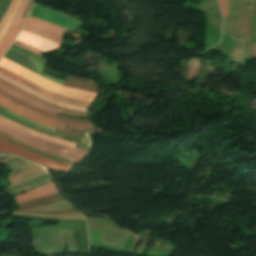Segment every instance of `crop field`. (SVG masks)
I'll use <instances>...</instances> for the list:
<instances>
[{
  "label": "crop field",
  "instance_id": "crop-field-1",
  "mask_svg": "<svg viewBox=\"0 0 256 256\" xmlns=\"http://www.w3.org/2000/svg\"><path fill=\"white\" fill-rule=\"evenodd\" d=\"M0 67L55 94L89 103H91L96 96V93L75 90L62 85L54 84L4 58H2L0 61Z\"/></svg>",
  "mask_w": 256,
  "mask_h": 256
},
{
  "label": "crop field",
  "instance_id": "crop-field-2",
  "mask_svg": "<svg viewBox=\"0 0 256 256\" xmlns=\"http://www.w3.org/2000/svg\"><path fill=\"white\" fill-rule=\"evenodd\" d=\"M0 130L5 131L14 136H17L19 138L25 139L27 141H30L32 143L38 144L40 146L52 149L54 151H57V152H60V153H63V154L69 155V156L76 157L79 159L83 158L84 155L86 154V152H84V151L76 150L73 148L65 147L62 145H58V144H55L52 142H48V141L39 139V138L34 137L28 133H25L19 129H16L10 125H7L1 121H0Z\"/></svg>",
  "mask_w": 256,
  "mask_h": 256
},
{
  "label": "crop field",
  "instance_id": "crop-field-3",
  "mask_svg": "<svg viewBox=\"0 0 256 256\" xmlns=\"http://www.w3.org/2000/svg\"><path fill=\"white\" fill-rule=\"evenodd\" d=\"M0 105L21 115V116L32 119V120L37 121L46 126H50V127H54V128L63 130L64 126L66 124L65 122H61V121L55 120L53 118L43 116L36 112H33V111H31L23 106H20L2 96H0Z\"/></svg>",
  "mask_w": 256,
  "mask_h": 256
},
{
  "label": "crop field",
  "instance_id": "crop-field-4",
  "mask_svg": "<svg viewBox=\"0 0 256 256\" xmlns=\"http://www.w3.org/2000/svg\"><path fill=\"white\" fill-rule=\"evenodd\" d=\"M0 152L14 153L22 158H25L29 161L34 162L36 164H40V165H44V166H48V167H52V168H56V169H60V170H64V171L68 170L71 167V166L65 165L63 163L52 161V160L40 157L38 155H35L31 152H28L24 149H21L17 146L10 144V143H7L1 139H0Z\"/></svg>",
  "mask_w": 256,
  "mask_h": 256
},
{
  "label": "crop field",
  "instance_id": "crop-field-5",
  "mask_svg": "<svg viewBox=\"0 0 256 256\" xmlns=\"http://www.w3.org/2000/svg\"><path fill=\"white\" fill-rule=\"evenodd\" d=\"M31 16L49 21L72 31L81 24L79 21L40 6H34Z\"/></svg>",
  "mask_w": 256,
  "mask_h": 256
},
{
  "label": "crop field",
  "instance_id": "crop-field-6",
  "mask_svg": "<svg viewBox=\"0 0 256 256\" xmlns=\"http://www.w3.org/2000/svg\"><path fill=\"white\" fill-rule=\"evenodd\" d=\"M27 0H24L22 3V6L17 14L18 17L21 16ZM15 17L14 21L11 24V27H9L8 31L6 32L5 36L3 37L2 41L0 42V58L4 54V52L7 50L9 45L13 42V40L17 37L19 34L22 26L24 25L26 19Z\"/></svg>",
  "mask_w": 256,
  "mask_h": 256
},
{
  "label": "crop field",
  "instance_id": "crop-field-7",
  "mask_svg": "<svg viewBox=\"0 0 256 256\" xmlns=\"http://www.w3.org/2000/svg\"><path fill=\"white\" fill-rule=\"evenodd\" d=\"M17 40H19V41H21L25 44H28V45L37 47L39 49H42L44 51L57 49L60 46L56 43L50 42L48 40L42 39L40 37L31 35V34H28V33L23 32V31L18 36Z\"/></svg>",
  "mask_w": 256,
  "mask_h": 256
},
{
  "label": "crop field",
  "instance_id": "crop-field-8",
  "mask_svg": "<svg viewBox=\"0 0 256 256\" xmlns=\"http://www.w3.org/2000/svg\"><path fill=\"white\" fill-rule=\"evenodd\" d=\"M26 25L39 29L45 33L57 36L61 39L63 38L64 32L66 31V29L64 28H61L59 26H56L43 20L33 18L31 16L29 17Z\"/></svg>",
  "mask_w": 256,
  "mask_h": 256
},
{
  "label": "crop field",
  "instance_id": "crop-field-9",
  "mask_svg": "<svg viewBox=\"0 0 256 256\" xmlns=\"http://www.w3.org/2000/svg\"><path fill=\"white\" fill-rule=\"evenodd\" d=\"M56 192H58V189L56 188L54 183H52V184H49L44 187L33 189V190H31L27 193H24L22 195L15 196L14 198H15L16 203L18 204V203L26 202V201L33 200L36 198H40V197H43L46 195H50V194H53Z\"/></svg>",
  "mask_w": 256,
  "mask_h": 256
},
{
  "label": "crop field",
  "instance_id": "crop-field-10",
  "mask_svg": "<svg viewBox=\"0 0 256 256\" xmlns=\"http://www.w3.org/2000/svg\"><path fill=\"white\" fill-rule=\"evenodd\" d=\"M0 73H2L4 75H6V76H8V77L18 81V82H20V83H22V84H24V85H26V86L34 89V90H36V91L46 95V96H48L50 98L58 99V100H61V101H64V102H68V103H71V104H75V105H80V106H85V107L89 106V103H85V102L73 100V99H70V98H66V97H62V96L51 94V93H49V92H47V91H45V90H43V89H41V88H39L37 86H34V85H32V84H30V83H28V82H26V81L16 77V76H14L13 74H11V73H9V72L1 69V68H0Z\"/></svg>",
  "mask_w": 256,
  "mask_h": 256
},
{
  "label": "crop field",
  "instance_id": "crop-field-11",
  "mask_svg": "<svg viewBox=\"0 0 256 256\" xmlns=\"http://www.w3.org/2000/svg\"><path fill=\"white\" fill-rule=\"evenodd\" d=\"M0 78L9 82V83H11V84H13V85H15V86H17V87H19V88H21V89H23V90H25V91H27V92H29V93H31V94H33V95H35V96H37V97H39V98H41V99H43V100L49 101V102L54 103L56 105H60V106L68 107V108H73V109H78V110H84V111L87 110V108H85V107L75 106V105H71V104H67V103H63V102H59V101L47 98V97H45V96H43V95L25 87V86L15 82L14 80H12V79H10V78L2 75V74H0Z\"/></svg>",
  "mask_w": 256,
  "mask_h": 256
},
{
  "label": "crop field",
  "instance_id": "crop-field-12",
  "mask_svg": "<svg viewBox=\"0 0 256 256\" xmlns=\"http://www.w3.org/2000/svg\"><path fill=\"white\" fill-rule=\"evenodd\" d=\"M0 94L5 96V97H7V98H9V99H11V100H13V101H15V102H17V103H19V104H21V105H24V106L30 108V109H32V110H34L36 112L43 113V114H45L47 116L53 117V118L61 120V121L71 122V123H79V124H91L88 121L75 120V119H67V118H63V117H60V116L53 115V114H50L48 112L42 111V110H40L38 108H35V107H33V106H31V105H29V104H27V103H25V102L15 98V97H13V96H11V95H9V94L1 91V90H0Z\"/></svg>",
  "mask_w": 256,
  "mask_h": 256
},
{
  "label": "crop field",
  "instance_id": "crop-field-13",
  "mask_svg": "<svg viewBox=\"0 0 256 256\" xmlns=\"http://www.w3.org/2000/svg\"><path fill=\"white\" fill-rule=\"evenodd\" d=\"M0 120L6 122V123H8V124H10V125H12V126H14V127H16V128H19V129H21V130H23V131H26V132H28V133H30V134H33V135H35V136H38V137H40V138H42V139L49 140V141H53V142H57V143L64 144V145H67V146H71V147H73V148H74V146H75L74 143L67 142V141H63V140H59V139H55V138H51V137H49V136H46V135H43V134H40V133L31 131V130H29V129H27V128H24V127H22V126H20V125H17V124H15V123H13V122H11V121L5 119V118L2 117V116H0Z\"/></svg>",
  "mask_w": 256,
  "mask_h": 256
},
{
  "label": "crop field",
  "instance_id": "crop-field-14",
  "mask_svg": "<svg viewBox=\"0 0 256 256\" xmlns=\"http://www.w3.org/2000/svg\"><path fill=\"white\" fill-rule=\"evenodd\" d=\"M0 138L5 140V141H7V142H10V143H12L14 145H17V146H19L21 148H24V149H26L28 151H31V152H33L35 154L41 155L43 157L50 158V159H53V160H57V161H60V162H64V163L71 164V165H73L75 163V162H72V161H68V160H65V159L54 157V156L49 155V154L44 153V152L37 151V150H35L33 148H30V147H28L26 145H23V144H21L19 142H16V141H14L12 139H9V138L5 137V136L0 135Z\"/></svg>",
  "mask_w": 256,
  "mask_h": 256
},
{
  "label": "crop field",
  "instance_id": "crop-field-15",
  "mask_svg": "<svg viewBox=\"0 0 256 256\" xmlns=\"http://www.w3.org/2000/svg\"><path fill=\"white\" fill-rule=\"evenodd\" d=\"M0 83H2V84H4V85H6V86H8V87H10V88H12V89L18 91V92H20V93H22V94H24V95H26V96H28V97H30V98H32V99L38 101V102H41V103H43V104H45V105H47V106H51V107H54V108H56V109L63 110V111H67V112H72V113H76V114L85 115V113L76 112V111H71V110H69V109L62 108V107H58V106H56V105H54V104L48 103V102H46V101H43V100H41V99H39V98H37V97H35V96H32V95H30V94H28V93H26V92H24V91H22V90H20V89H18V88H16V87H14V86H12V85L6 83L5 81H3V80H1V79H0Z\"/></svg>",
  "mask_w": 256,
  "mask_h": 256
},
{
  "label": "crop field",
  "instance_id": "crop-field-16",
  "mask_svg": "<svg viewBox=\"0 0 256 256\" xmlns=\"http://www.w3.org/2000/svg\"><path fill=\"white\" fill-rule=\"evenodd\" d=\"M0 134L5 135V136H7V137H9V138H12V139H14V140H16V141H19V142H21V143H23V144H26V145H28V146H30V147H33V148H35V149H37V150L44 151V152H47V153H49V154H52V155H54V156L62 157V158H65V159H68V160H72V161H75V162L79 161V159H75V158H72V157H69V156H65V155H62V154H59V153H55V152H52V151L43 149V148H41V147L35 146V145L31 144V143H28V142H26V141H24V140H21V139L17 138V137H14V136H12V135H9V134H7V133H5V132L0 131Z\"/></svg>",
  "mask_w": 256,
  "mask_h": 256
},
{
  "label": "crop field",
  "instance_id": "crop-field-17",
  "mask_svg": "<svg viewBox=\"0 0 256 256\" xmlns=\"http://www.w3.org/2000/svg\"><path fill=\"white\" fill-rule=\"evenodd\" d=\"M0 89L5 91V92H7V93H9V94H11V95H13V96H16V97L22 99V100H24V101H26V102H28V103H30V104L40 108V109H42V110H46V111H49V112L54 113V114H56V112H57L56 110H52V109H50V108H48L46 106L40 105V104H38L36 102H33V101H31V100H29V99H27V98H25V97L15 93V92L11 91V90H9V89L1 86V85H0Z\"/></svg>",
  "mask_w": 256,
  "mask_h": 256
},
{
  "label": "crop field",
  "instance_id": "crop-field-18",
  "mask_svg": "<svg viewBox=\"0 0 256 256\" xmlns=\"http://www.w3.org/2000/svg\"><path fill=\"white\" fill-rule=\"evenodd\" d=\"M0 110L3 111V112H5V113H7V114H9V115H11V116H14V117H16V118H19V119H21V120H23V121H25V122H27V123H29V124H31V125L37 126V127L41 128V129H45V130H49V131H53V132H54V130H55L54 128L46 127V126L40 125V124H38V123H36V122H34V121H31V120H29V119H26V118H23V117H21V116H18V115H16L15 113H13V112H11V111H9V110H7V109L1 107V106H0Z\"/></svg>",
  "mask_w": 256,
  "mask_h": 256
},
{
  "label": "crop field",
  "instance_id": "crop-field-19",
  "mask_svg": "<svg viewBox=\"0 0 256 256\" xmlns=\"http://www.w3.org/2000/svg\"><path fill=\"white\" fill-rule=\"evenodd\" d=\"M23 30H24V31L31 32V33H33V34H35V35H38V36L43 37V38H45V39L51 40V41L56 42V43H58V44L61 45V41H62V40H59V39H57V38H55V37H52V36H50V35H48V34H45V33L41 32V31H39V30L33 29V28H31V27H27V26H25Z\"/></svg>",
  "mask_w": 256,
  "mask_h": 256
},
{
  "label": "crop field",
  "instance_id": "crop-field-20",
  "mask_svg": "<svg viewBox=\"0 0 256 256\" xmlns=\"http://www.w3.org/2000/svg\"><path fill=\"white\" fill-rule=\"evenodd\" d=\"M21 3H22V0L17 1V4L15 6V9H14L13 13L11 14L10 18L8 19L7 23L5 24L4 28L2 29V31L0 33V41H1L2 37L4 36L5 32L7 31L8 27L10 26L13 18L16 16Z\"/></svg>",
  "mask_w": 256,
  "mask_h": 256
},
{
  "label": "crop field",
  "instance_id": "crop-field-21",
  "mask_svg": "<svg viewBox=\"0 0 256 256\" xmlns=\"http://www.w3.org/2000/svg\"><path fill=\"white\" fill-rule=\"evenodd\" d=\"M17 0H12L11 3H10V6L5 14V16L3 17L2 21L0 22V31L1 29L3 28L4 24L6 23L7 19L9 18L14 6H15V3H16Z\"/></svg>",
  "mask_w": 256,
  "mask_h": 256
},
{
  "label": "crop field",
  "instance_id": "crop-field-22",
  "mask_svg": "<svg viewBox=\"0 0 256 256\" xmlns=\"http://www.w3.org/2000/svg\"><path fill=\"white\" fill-rule=\"evenodd\" d=\"M14 45H17V46H19V47H22V48H24V49H27V50H29V51H32V52H34V53H36V54H38V55H40V56H41L42 53H43V51L34 49V48H32V47H30V46H28V45H25V44H23V43H21V42H19V41H17V40H15Z\"/></svg>",
  "mask_w": 256,
  "mask_h": 256
},
{
  "label": "crop field",
  "instance_id": "crop-field-23",
  "mask_svg": "<svg viewBox=\"0 0 256 256\" xmlns=\"http://www.w3.org/2000/svg\"><path fill=\"white\" fill-rule=\"evenodd\" d=\"M11 0H0V21Z\"/></svg>",
  "mask_w": 256,
  "mask_h": 256
},
{
  "label": "crop field",
  "instance_id": "crop-field-24",
  "mask_svg": "<svg viewBox=\"0 0 256 256\" xmlns=\"http://www.w3.org/2000/svg\"><path fill=\"white\" fill-rule=\"evenodd\" d=\"M222 15L228 16V0H219Z\"/></svg>",
  "mask_w": 256,
  "mask_h": 256
},
{
  "label": "crop field",
  "instance_id": "crop-field-25",
  "mask_svg": "<svg viewBox=\"0 0 256 256\" xmlns=\"http://www.w3.org/2000/svg\"><path fill=\"white\" fill-rule=\"evenodd\" d=\"M38 169H41V168L38 167V168L31 169V170H29V171H27V172H25V173H22V174H20V175H18V176H16V177H13V178L9 179V181H11V180H13V179H15V178H18V177H20V176H22V175L28 174V173H30V172L36 171V170H38Z\"/></svg>",
  "mask_w": 256,
  "mask_h": 256
}]
</instances>
